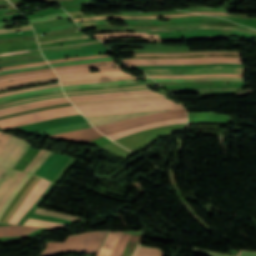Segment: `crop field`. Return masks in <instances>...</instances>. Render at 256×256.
I'll list each match as a JSON object with an SVG mask.
<instances>
[{"mask_svg":"<svg viewBox=\"0 0 256 256\" xmlns=\"http://www.w3.org/2000/svg\"><path fill=\"white\" fill-rule=\"evenodd\" d=\"M210 38H223L229 39L228 37H193V38H186L185 40H197V39H210ZM182 41V39H130V40H119V39H102L103 42H113V41Z\"/></svg>","mask_w":256,"mask_h":256,"instance_id":"crop-field-22","label":"crop field"},{"mask_svg":"<svg viewBox=\"0 0 256 256\" xmlns=\"http://www.w3.org/2000/svg\"><path fill=\"white\" fill-rule=\"evenodd\" d=\"M45 153V150H41L38 155L35 157V159L32 161V163L24 170L25 172H28L33 166L34 164L43 156V154Z\"/></svg>","mask_w":256,"mask_h":256,"instance_id":"crop-field-47","label":"crop field"},{"mask_svg":"<svg viewBox=\"0 0 256 256\" xmlns=\"http://www.w3.org/2000/svg\"><path fill=\"white\" fill-rule=\"evenodd\" d=\"M138 92H153V91H151V90H132V91L113 92V93L74 95V96H67V97L74 98V97H86V96H98V95L128 94V93H138Z\"/></svg>","mask_w":256,"mask_h":256,"instance_id":"crop-field-31","label":"crop field"},{"mask_svg":"<svg viewBox=\"0 0 256 256\" xmlns=\"http://www.w3.org/2000/svg\"><path fill=\"white\" fill-rule=\"evenodd\" d=\"M103 23H109L108 21H102V22H85L78 24L79 26H85V25H95V24H103Z\"/></svg>","mask_w":256,"mask_h":256,"instance_id":"crop-field-51","label":"crop field"},{"mask_svg":"<svg viewBox=\"0 0 256 256\" xmlns=\"http://www.w3.org/2000/svg\"><path fill=\"white\" fill-rule=\"evenodd\" d=\"M39 227L0 226V236H26Z\"/></svg>","mask_w":256,"mask_h":256,"instance_id":"crop-field-16","label":"crop field"},{"mask_svg":"<svg viewBox=\"0 0 256 256\" xmlns=\"http://www.w3.org/2000/svg\"><path fill=\"white\" fill-rule=\"evenodd\" d=\"M69 27H72V26L71 25H66V26L52 27V28H48V29L55 30V29L69 28Z\"/></svg>","mask_w":256,"mask_h":256,"instance_id":"crop-field-58","label":"crop field"},{"mask_svg":"<svg viewBox=\"0 0 256 256\" xmlns=\"http://www.w3.org/2000/svg\"><path fill=\"white\" fill-rule=\"evenodd\" d=\"M140 78H149V77L148 76H142V77H122V78H111V79H99V80L67 82V83H61V84H62V86H64V85H73V84H83V83H93V82H110V81H118V80H125V79H140Z\"/></svg>","mask_w":256,"mask_h":256,"instance_id":"crop-field-25","label":"crop field"},{"mask_svg":"<svg viewBox=\"0 0 256 256\" xmlns=\"http://www.w3.org/2000/svg\"><path fill=\"white\" fill-rule=\"evenodd\" d=\"M128 65H181L202 63H237L242 64L240 58L230 57H207L186 59H129L123 60Z\"/></svg>","mask_w":256,"mask_h":256,"instance_id":"crop-field-4","label":"crop field"},{"mask_svg":"<svg viewBox=\"0 0 256 256\" xmlns=\"http://www.w3.org/2000/svg\"><path fill=\"white\" fill-rule=\"evenodd\" d=\"M101 114H122L156 109H185L169 99L134 100L98 104ZM97 104L76 106L84 116L101 115Z\"/></svg>","mask_w":256,"mask_h":256,"instance_id":"crop-field-1","label":"crop field"},{"mask_svg":"<svg viewBox=\"0 0 256 256\" xmlns=\"http://www.w3.org/2000/svg\"><path fill=\"white\" fill-rule=\"evenodd\" d=\"M138 85H144V83H132V84H121V85H111V86H98V87H89V88H80V89H69V90H64V92L82 91V90H95V89H107V88H118V87L138 86Z\"/></svg>","mask_w":256,"mask_h":256,"instance_id":"crop-field-29","label":"crop field"},{"mask_svg":"<svg viewBox=\"0 0 256 256\" xmlns=\"http://www.w3.org/2000/svg\"><path fill=\"white\" fill-rule=\"evenodd\" d=\"M69 16L66 13H61V14H54V15H50V16H45V17H41V18H36V19H30V23H34V22H41V21H46L49 19H54V18H61V17H67Z\"/></svg>","mask_w":256,"mask_h":256,"instance_id":"crop-field-37","label":"crop field"},{"mask_svg":"<svg viewBox=\"0 0 256 256\" xmlns=\"http://www.w3.org/2000/svg\"><path fill=\"white\" fill-rule=\"evenodd\" d=\"M101 136L103 135H101L97 130H95L94 127H91V128L74 131V132L63 133V134H58V135H53L48 137L87 143Z\"/></svg>","mask_w":256,"mask_h":256,"instance_id":"crop-field-7","label":"crop field"},{"mask_svg":"<svg viewBox=\"0 0 256 256\" xmlns=\"http://www.w3.org/2000/svg\"><path fill=\"white\" fill-rule=\"evenodd\" d=\"M152 78H199V77H211V76H235L242 77L240 74H211V75H149Z\"/></svg>","mask_w":256,"mask_h":256,"instance_id":"crop-field-21","label":"crop field"},{"mask_svg":"<svg viewBox=\"0 0 256 256\" xmlns=\"http://www.w3.org/2000/svg\"><path fill=\"white\" fill-rule=\"evenodd\" d=\"M20 171H13L5 169L0 175V200L3 197L8 187L16 180L20 175Z\"/></svg>","mask_w":256,"mask_h":256,"instance_id":"crop-field-17","label":"crop field"},{"mask_svg":"<svg viewBox=\"0 0 256 256\" xmlns=\"http://www.w3.org/2000/svg\"><path fill=\"white\" fill-rule=\"evenodd\" d=\"M169 12H180V11H169ZM169 12H152V13H169ZM120 13H130V12H120Z\"/></svg>","mask_w":256,"mask_h":256,"instance_id":"crop-field-66","label":"crop field"},{"mask_svg":"<svg viewBox=\"0 0 256 256\" xmlns=\"http://www.w3.org/2000/svg\"><path fill=\"white\" fill-rule=\"evenodd\" d=\"M46 64H48V63H45V64H39V65H46ZM39 65H34V66H39ZM28 67H30V66H28ZM19 68H21V67H19ZM9 69H15V68L2 69V70H0V71L9 70Z\"/></svg>","mask_w":256,"mask_h":256,"instance_id":"crop-field-67","label":"crop field"},{"mask_svg":"<svg viewBox=\"0 0 256 256\" xmlns=\"http://www.w3.org/2000/svg\"><path fill=\"white\" fill-rule=\"evenodd\" d=\"M4 9H7V8H4Z\"/></svg>","mask_w":256,"mask_h":256,"instance_id":"crop-field-72","label":"crop field"},{"mask_svg":"<svg viewBox=\"0 0 256 256\" xmlns=\"http://www.w3.org/2000/svg\"><path fill=\"white\" fill-rule=\"evenodd\" d=\"M147 95H162V94H147ZM133 96H146V95H133ZM119 97H127V96H119ZM110 98H118V97H110ZM102 99H109V98H102ZM92 100H97V99H92ZM77 101H83V100H77ZM75 102V101H71Z\"/></svg>","mask_w":256,"mask_h":256,"instance_id":"crop-field-55","label":"crop field"},{"mask_svg":"<svg viewBox=\"0 0 256 256\" xmlns=\"http://www.w3.org/2000/svg\"><path fill=\"white\" fill-rule=\"evenodd\" d=\"M156 81L166 82V81H200V80H235L242 81V78L235 77H212V78H200V79H155Z\"/></svg>","mask_w":256,"mask_h":256,"instance_id":"crop-field-27","label":"crop field"},{"mask_svg":"<svg viewBox=\"0 0 256 256\" xmlns=\"http://www.w3.org/2000/svg\"><path fill=\"white\" fill-rule=\"evenodd\" d=\"M105 57H110V56H105ZM97 58H100V57H97ZM87 59H92V58H87ZM75 60H83V59H75ZM75 60H67V61H75ZM67 61H60V62H67ZM60 62H52V63H49V64L60 63Z\"/></svg>","mask_w":256,"mask_h":256,"instance_id":"crop-field-61","label":"crop field"},{"mask_svg":"<svg viewBox=\"0 0 256 256\" xmlns=\"http://www.w3.org/2000/svg\"><path fill=\"white\" fill-rule=\"evenodd\" d=\"M62 96V95H61ZM56 97V96H55ZM47 98H50V97H47ZM41 99H46V98H41ZM41 99H36V100H41ZM30 101H34V100H30ZM24 102H28V101H24ZM24 102H19V103H24ZM16 104H18V103H16ZM13 105H15V104H13ZM9 106H11V105H9ZM4 107H7V106H4ZM0 108H2V107H0Z\"/></svg>","mask_w":256,"mask_h":256,"instance_id":"crop-field-65","label":"crop field"},{"mask_svg":"<svg viewBox=\"0 0 256 256\" xmlns=\"http://www.w3.org/2000/svg\"><path fill=\"white\" fill-rule=\"evenodd\" d=\"M26 175V173L22 172L21 175L17 178V180L10 186V188L5 193L4 197L0 201V209L3 206L5 200L9 196V194L12 192V190L15 188V186L20 182V180Z\"/></svg>","mask_w":256,"mask_h":256,"instance_id":"crop-field-34","label":"crop field"},{"mask_svg":"<svg viewBox=\"0 0 256 256\" xmlns=\"http://www.w3.org/2000/svg\"><path fill=\"white\" fill-rule=\"evenodd\" d=\"M193 20H224L221 18H206V17H192V18H181V19H173L170 22H179V21H193ZM124 23H132V24H143V23H170V22H161V21H123Z\"/></svg>","mask_w":256,"mask_h":256,"instance_id":"crop-field-20","label":"crop field"},{"mask_svg":"<svg viewBox=\"0 0 256 256\" xmlns=\"http://www.w3.org/2000/svg\"><path fill=\"white\" fill-rule=\"evenodd\" d=\"M35 213L65 218L67 220H71V221H75V222L82 220L81 218H77V217H73V216H69V215H65V214H61V213H56V212L48 211V210L41 209V208H38Z\"/></svg>","mask_w":256,"mask_h":256,"instance_id":"crop-field-28","label":"crop field"},{"mask_svg":"<svg viewBox=\"0 0 256 256\" xmlns=\"http://www.w3.org/2000/svg\"><path fill=\"white\" fill-rule=\"evenodd\" d=\"M42 178L40 179V181ZM38 182L34 188L31 190V192L28 194L24 202L21 204V206L18 208L15 215L11 218L9 223L17 225V223L20 221L21 217L34 205V203L42 196L43 192L46 190L48 185Z\"/></svg>","mask_w":256,"mask_h":256,"instance_id":"crop-field-6","label":"crop field"},{"mask_svg":"<svg viewBox=\"0 0 256 256\" xmlns=\"http://www.w3.org/2000/svg\"><path fill=\"white\" fill-rule=\"evenodd\" d=\"M66 100H68V99H66ZM66 100H60V101H66ZM52 102H58V101H52ZM52 102H47V103H52ZM42 104H46V103H42ZM38 105H41V104H38ZM32 106H36V105H32ZM26 107H30V106H26ZM23 108H25V107H23ZM19 109H21V108H19ZM15 110H18V109H15ZM11 111H14V110H11ZM7 112H9V111H7ZM3 113H5V112H3Z\"/></svg>","mask_w":256,"mask_h":256,"instance_id":"crop-field-60","label":"crop field"},{"mask_svg":"<svg viewBox=\"0 0 256 256\" xmlns=\"http://www.w3.org/2000/svg\"><path fill=\"white\" fill-rule=\"evenodd\" d=\"M194 28H222V29H234V30H247L255 31L251 28H239V27H226V26H187V27H173V28H163V29H102V31H171V30H188Z\"/></svg>","mask_w":256,"mask_h":256,"instance_id":"crop-field-14","label":"crop field"},{"mask_svg":"<svg viewBox=\"0 0 256 256\" xmlns=\"http://www.w3.org/2000/svg\"><path fill=\"white\" fill-rule=\"evenodd\" d=\"M55 86H60V85L59 84L45 85V86H39V87H34V88L10 91V92H6V93L0 94V97L11 95V94H15V93H20V92H24V91L39 90V89L48 88V87H55Z\"/></svg>","mask_w":256,"mask_h":256,"instance_id":"crop-field-33","label":"crop field"},{"mask_svg":"<svg viewBox=\"0 0 256 256\" xmlns=\"http://www.w3.org/2000/svg\"><path fill=\"white\" fill-rule=\"evenodd\" d=\"M52 73H54V71H47V72H41V73H36V74H27V75L14 76V77H10V78L1 79L0 82L9 81V80L18 79V78L30 77V76L52 74Z\"/></svg>","mask_w":256,"mask_h":256,"instance_id":"crop-field-42","label":"crop field"},{"mask_svg":"<svg viewBox=\"0 0 256 256\" xmlns=\"http://www.w3.org/2000/svg\"><path fill=\"white\" fill-rule=\"evenodd\" d=\"M111 66H118L116 64H108V65H101V66H95L96 68H103V67H111ZM92 67H83V68H74V69H62V70H56V73L61 72H69V71H77V70H85V69H91Z\"/></svg>","mask_w":256,"mask_h":256,"instance_id":"crop-field-43","label":"crop field"},{"mask_svg":"<svg viewBox=\"0 0 256 256\" xmlns=\"http://www.w3.org/2000/svg\"><path fill=\"white\" fill-rule=\"evenodd\" d=\"M131 82H136V81L135 80H125V81H118V82H111V83H93V84L65 86V87H62V88L63 89H69V88H80V87H89V86H98V85H110V84H121V83H131Z\"/></svg>","mask_w":256,"mask_h":256,"instance_id":"crop-field-32","label":"crop field"},{"mask_svg":"<svg viewBox=\"0 0 256 256\" xmlns=\"http://www.w3.org/2000/svg\"><path fill=\"white\" fill-rule=\"evenodd\" d=\"M128 235L127 234H123L120 242L118 243L116 249L114 250L112 256H118L122 246L124 245L126 239H127ZM143 236H139V235H130L127 243L125 244L123 250L121 251L119 256H133V254L135 253L141 239Z\"/></svg>","mask_w":256,"mask_h":256,"instance_id":"crop-field-10","label":"crop field"},{"mask_svg":"<svg viewBox=\"0 0 256 256\" xmlns=\"http://www.w3.org/2000/svg\"><path fill=\"white\" fill-rule=\"evenodd\" d=\"M138 94H146V93H138ZM129 95H133V94H129ZM114 96H119V95H114ZM102 97H110V96L87 97V98H75V99H69V100H77V99H91V98H102Z\"/></svg>","mask_w":256,"mask_h":256,"instance_id":"crop-field-54","label":"crop field"},{"mask_svg":"<svg viewBox=\"0 0 256 256\" xmlns=\"http://www.w3.org/2000/svg\"><path fill=\"white\" fill-rule=\"evenodd\" d=\"M192 15H199V14L187 13V14H181V15H164V17H182V16H192ZM158 17L160 16H102V17L79 18V19H75V21L105 19V18H158Z\"/></svg>","mask_w":256,"mask_h":256,"instance_id":"crop-field-19","label":"crop field"},{"mask_svg":"<svg viewBox=\"0 0 256 256\" xmlns=\"http://www.w3.org/2000/svg\"><path fill=\"white\" fill-rule=\"evenodd\" d=\"M101 56H105V55H101ZM90 57H97V56H90ZM75 58H87V57H74V58H67V59H75ZM60 60H66V59H60ZM60 60H52V61H60ZM52 61H48V62H52Z\"/></svg>","mask_w":256,"mask_h":256,"instance_id":"crop-field-59","label":"crop field"},{"mask_svg":"<svg viewBox=\"0 0 256 256\" xmlns=\"http://www.w3.org/2000/svg\"><path fill=\"white\" fill-rule=\"evenodd\" d=\"M195 253L209 255V256H227V255L214 254L215 252L210 253V252H206V251H202V250H198V249H196ZM240 256H256V252L242 251Z\"/></svg>","mask_w":256,"mask_h":256,"instance_id":"crop-field-36","label":"crop field"},{"mask_svg":"<svg viewBox=\"0 0 256 256\" xmlns=\"http://www.w3.org/2000/svg\"><path fill=\"white\" fill-rule=\"evenodd\" d=\"M178 117H187L186 110H169L161 113H156L148 116L138 117L134 119L119 121L115 123H110L106 125L97 126L96 128L103 134L107 135L110 133L126 130L136 126H140L146 123L178 118Z\"/></svg>","mask_w":256,"mask_h":256,"instance_id":"crop-field-2","label":"crop field"},{"mask_svg":"<svg viewBox=\"0 0 256 256\" xmlns=\"http://www.w3.org/2000/svg\"><path fill=\"white\" fill-rule=\"evenodd\" d=\"M44 62H46V61L38 62V63H44ZM32 64H37V63H32ZM27 65H29V64H27ZM19 66H22V65H19ZM9 67H16V66H9ZM5 68H8V67H5ZM0 69H1V68H0Z\"/></svg>","mask_w":256,"mask_h":256,"instance_id":"crop-field-68","label":"crop field"},{"mask_svg":"<svg viewBox=\"0 0 256 256\" xmlns=\"http://www.w3.org/2000/svg\"><path fill=\"white\" fill-rule=\"evenodd\" d=\"M27 221L28 222L39 223V224H45V225L64 226V224L45 222V221L35 220V219H31V218H29Z\"/></svg>","mask_w":256,"mask_h":256,"instance_id":"crop-field-48","label":"crop field"},{"mask_svg":"<svg viewBox=\"0 0 256 256\" xmlns=\"http://www.w3.org/2000/svg\"><path fill=\"white\" fill-rule=\"evenodd\" d=\"M147 74H211V73H241L244 68L231 67H202V68H176V69H139Z\"/></svg>","mask_w":256,"mask_h":256,"instance_id":"crop-field-5","label":"crop field"},{"mask_svg":"<svg viewBox=\"0 0 256 256\" xmlns=\"http://www.w3.org/2000/svg\"><path fill=\"white\" fill-rule=\"evenodd\" d=\"M200 9H211V8H200ZM190 10H196V9H186L184 11H190Z\"/></svg>","mask_w":256,"mask_h":256,"instance_id":"crop-field-69","label":"crop field"},{"mask_svg":"<svg viewBox=\"0 0 256 256\" xmlns=\"http://www.w3.org/2000/svg\"><path fill=\"white\" fill-rule=\"evenodd\" d=\"M25 141L12 135L8 144L0 154V166L6 167L10 164L23 147Z\"/></svg>","mask_w":256,"mask_h":256,"instance_id":"crop-field-9","label":"crop field"},{"mask_svg":"<svg viewBox=\"0 0 256 256\" xmlns=\"http://www.w3.org/2000/svg\"><path fill=\"white\" fill-rule=\"evenodd\" d=\"M28 27H31V26L18 27V28H11V29H0V32H4V31H12V30L22 29V28H28Z\"/></svg>","mask_w":256,"mask_h":256,"instance_id":"crop-field-57","label":"crop field"},{"mask_svg":"<svg viewBox=\"0 0 256 256\" xmlns=\"http://www.w3.org/2000/svg\"><path fill=\"white\" fill-rule=\"evenodd\" d=\"M86 127H91L89 122L82 123V124L62 126V127L48 129V130H42L38 134H40L42 136H47V135H53V134H57V133H61V132H66V131H70V130L86 128ZM42 132H48V133L47 134H42Z\"/></svg>","mask_w":256,"mask_h":256,"instance_id":"crop-field-18","label":"crop field"},{"mask_svg":"<svg viewBox=\"0 0 256 256\" xmlns=\"http://www.w3.org/2000/svg\"><path fill=\"white\" fill-rule=\"evenodd\" d=\"M139 87H147V86H139ZM129 88H138V87H129ZM120 89H127V88H120ZM110 90H114V89H110ZM83 92H90V91H83ZM70 93H77V92H70ZM65 94H67V93H65Z\"/></svg>","mask_w":256,"mask_h":256,"instance_id":"crop-field-64","label":"crop field"},{"mask_svg":"<svg viewBox=\"0 0 256 256\" xmlns=\"http://www.w3.org/2000/svg\"><path fill=\"white\" fill-rule=\"evenodd\" d=\"M139 89H149V88H139ZM128 90H132V89H128ZM116 91H122V90H116ZM103 92H112V91H103ZM91 93H100V92H91ZM81 94H86V93H81Z\"/></svg>","mask_w":256,"mask_h":256,"instance_id":"crop-field-62","label":"crop field"},{"mask_svg":"<svg viewBox=\"0 0 256 256\" xmlns=\"http://www.w3.org/2000/svg\"><path fill=\"white\" fill-rule=\"evenodd\" d=\"M180 123H186V118L173 119V120L156 122V123H150V124H146V125H143V126H140V127H136V128H133V129L122 131V132H119V133H116V134L108 135V137L115 140V139L121 138L123 136L129 135L131 133L138 132V131H141V130H144V129H148V128H152V127H156V126H164V125L180 124Z\"/></svg>","mask_w":256,"mask_h":256,"instance_id":"crop-field-13","label":"crop field"},{"mask_svg":"<svg viewBox=\"0 0 256 256\" xmlns=\"http://www.w3.org/2000/svg\"><path fill=\"white\" fill-rule=\"evenodd\" d=\"M153 98H167V97H165V96L127 97V98H119V99H111V100L77 102V103H73V104L80 105V104H92V103H100V102H113V101H124V100H134V99H153Z\"/></svg>","mask_w":256,"mask_h":256,"instance_id":"crop-field-24","label":"crop field"},{"mask_svg":"<svg viewBox=\"0 0 256 256\" xmlns=\"http://www.w3.org/2000/svg\"><path fill=\"white\" fill-rule=\"evenodd\" d=\"M41 67H44V66H40V67H31V68L15 69V70H10V71L1 72L0 74H2V73H8V72H14V71H21V70L34 69V68H41Z\"/></svg>","mask_w":256,"mask_h":256,"instance_id":"crop-field-53","label":"crop field"},{"mask_svg":"<svg viewBox=\"0 0 256 256\" xmlns=\"http://www.w3.org/2000/svg\"><path fill=\"white\" fill-rule=\"evenodd\" d=\"M10 136H11L10 134L1 133V135H0V152L3 149V147L6 145V143L8 142Z\"/></svg>","mask_w":256,"mask_h":256,"instance_id":"crop-field-46","label":"crop field"},{"mask_svg":"<svg viewBox=\"0 0 256 256\" xmlns=\"http://www.w3.org/2000/svg\"><path fill=\"white\" fill-rule=\"evenodd\" d=\"M30 174H27L22 181L19 183V185L13 190V192L11 193V195L8 197V199L6 200L4 206L2 207L1 211H0V217L2 215V213L5 211V209L8 207V205L11 203L12 199L16 196V194L20 191V189L23 187V185L25 184V182L28 180V178L30 177Z\"/></svg>","mask_w":256,"mask_h":256,"instance_id":"crop-field-26","label":"crop field"},{"mask_svg":"<svg viewBox=\"0 0 256 256\" xmlns=\"http://www.w3.org/2000/svg\"><path fill=\"white\" fill-rule=\"evenodd\" d=\"M59 99H66V97L55 98V99H48V100H41V101H36V102L24 103V104H20V105H16V106H12V107H7V108L0 109V112L6 111V110H10V109L19 108V107H23V106H26V105L38 104V103H42V102H47V101H52V100H59Z\"/></svg>","mask_w":256,"mask_h":256,"instance_id":"crop-field-38","label":"crop field"},{"mask_svg":"<svg viewBox=\"0 0 256 256\" xmlns=\"http://www.w3.org/2000/svg\"><path fill=\"white\" fill-rule=\"evenodd\" d=\"M56 79H58V78L55 77V78H49V79H43V80L22 82V83H17V84H13V85L0 86V89H5V88L15 87V86H21V85H27V84H33V83H39V82H45V81L56 80Z\"/></svg>","mask_w":256,"mask_h":256,"instance_id":"crop-field-39","label":"crop field"},{"mask_svg":"<svg viewBox=\"0 0 256 256\" xmlns=\"http://www.w3.org/2000/svg\"><path fill=\"white\" fill-rule=\"evenodd\" d=\"M67 102H70V101H66V102H59V103H67ZM59 103H52V104H59ZM52 104H46V105H52ZM46 105H41V106H46ZM41 106L25 108V109H22V110H18V111H14V112H9V113H5V114H1L0 116H2V115H6V114H11V113H16V112H20V111H25V110H29V109H33V108H37V107H41Z\"/></svg>","mask_w":256,"mask_h":256,"instance_id":"crop-field-50","label":"crop field"},{"mask_svg":"<svg viewBox=\"0 0 256 256\" xmlns=\"http://www.w3.org/2000/svg\"><path fill=\"white\" fill-rule=\"evenodd\" d=\"M57 89H61V88L60 87H56V88H48V89H44V90H39V91L24 92V93H20V94H15V95L3 97V98H0V100L14 98V97H19V96H24V95H29V94L38 93V92L57 90Z\"/></svg>","mask_w":256,"mask_h":256,"instance_id":"crop-field-41","label":"crop field"},{"mask_svg":"<svg viewBox=\"0 0 256 256\" xmlns=\"http://www.w3.org/2000/svg\"><path fill=\"white\" fill-rule=\"evenodd\" d=\"M206 56H230L240 57L236 54H202V55H183V56H135V58H186V57H206ZM128 59V58H124Z\"/></svg>","mask_w":256,"mask_h":256,"instance_id":"crop-field-23","label":"crop field"},{"mask_svg":"<svg viewBox=\"0 0 256 256\" xmlns=\"http://www.w3.org/2000/svg\"><path fill=\"white\" fill-rule=\"evenodd\" d=\"M51 152L47 151L45 155L35 164V166L29 171V173L34 174L36 170L42 165V163L49 157Z\"/></svg>","mask_w":256,"mask_h":256,"instance_id":"crop-field-45","label":"crop field"},{"mask_svg":"<svg viewBox=\"0 0 256 256\" xmlns=\"http://www.w3.org/2000/svg\"><path fill=\"white\" fill-rule=\"evenodd\" d=\"M196 13H202V14H206V15H229L227 13H223V12H196Z\"/></svg>","mask_w":256,"mask_h":256,"instance_id":"crop-field-52","label":"crop field"},{"mask_svg":"<svg viewBox=\"0 0 256 256\" xmlns=\"http://www.w3.org/2000/svg\"><path fill=\"white\" fill-rule=\"evenodd\" d=\"M39 179H40L39 177H36L34 175L29 179V181L24 185V187L21 189L19 194L16 196V198L13 200V202L7 208V210L1 217L0 221L8 222V220L11 218L13 213L16 211V209L19 207V205L22 203L24 198L27 196L29 191L38 182Z\"/></svg>","mask_w":256,"mask_h":256,"instance_id":"crop-field-8","label":"crop field"},{"mask_svg":"<svg viewBox=\"0 0 256 256\" xmlns=\"http://www.w3.org/2000/svg\"><path fill=\"white\" fill-rule=\"evenodd\" d=\"M114 60L113 58H101V59H93V60H84V61H75V62H68V63H61V64H53L51 67L61 66V65H70V64H80V63H90V62H99V61H109Z\"/></svg>","mask_w":256,"mask_h":256,"instance_id":"crop-field-35","label":"crop field"},{"mask_svg":"<svg viewBox=\"0 0 256 256\" xmlns=\"http://www.w3.org/2000/svg\"><path fill=\"white\" fill-rule=\"evenodd\" d=\"M61 94H63V93H60V94H52V95H46V96H42V97H47V96H55V95H61ZM38 98H41V97H38ZM32 99H35V98H32ZM27 100H29V99H27ZM20 101H23V100H20ZM16 102H18V101H16ZM14 103V102H13ZM10 104V103H9ZM6 105V104H5ZM0 106H3V105H0Z\"/></svg>","mask_w":256,"mask_h":256,"instance_id":"crop-field-63","label":"crop field"},{"mask_svg":"<svg viewBox=\"0 0 256 256\" xmlns=\"http://www.w3.org/2000/svg\"><path fill=\"white\" fill-rule=\"evenodd\" d=\"M160 249L140 247L135 256H162Z\"/></svg>","mask_w":256,"mask_h":256,"instance_id":"crop-field-30","label":"crop field"},{"mask_svg":"<svg viewBox=\"0 0 256 256\" xmlns=\"http://www.w3.org/2000/svg\"><path fill=\"white\" fill-rule=\"evenodd\" d=\"M164 110H156V111H145V112H137V113H130V114H122V115H109V116H93V117H86L94 126L106 124L110 122H115L119 120H124L128 118L138 117L142 115L152 114L156 112H160Z\"/></svg>","mask_w":256,"mask_h":256,"instance_id":"crop-field-11","label":"crop field"},{"mask_svg":"<svg viewBox=\"0 0 256 256\" xmlns=\"http://www.w3.org/2000/svg\"><path fill=\"white\" fill-rule=\"evenodd\" d=\"M72 114H79L73 106L33 112L21 116L0 120V128L4 129L8 127L19 126L27 123L43 121L48 119H54Z\"/></svg>","mask_w":256,"mask_h":256,"instance_id":"crop-field-3","label":"crop field"},{"mask_svg":"<svg viewBox=\"0 0 256 256\" xmlns=\"http://www.w3.org/2000/svg\"><path fill=\"white\" fill-rule=\"evenodd\" d=\"M3 170H4L3 168H0V174H1V172H2Z\"/></svg>","mask_w":256,"mask_h":256,"instance_id":"crop-field-71","label":"crop field"},{"mask_svg":"<svg viewBox=\"0 0 256 256\" xmlns=\"http://www.w3.org/2000/svg\"><path fill=\"white\" fill-rule=\"evenodd\" d=\"M28 147H29V143L26 142V144L23 147V149L19 152V154L14 159V161L10 165L7 166V168H13L15 166V164L20 160V158L24 155V153L26 152Z\"/></svg>","mask_w":256,"mask_h":256,"instance_id":"crop-field-44","label":"crop field"},{"mask_svg":"<svg viewBox=\"0 0 256 256\" xmlns=\"http://www.w3.org/2000/svg\"><path fill=\"white\" fill-rule=\"evenodd\" d=\"M122 232H108L96 256H110Z\"/></svg>","mask_w":256,"mask_h":256,"instance_id":"crop-field-15","label":"crop field"},{"mask_svg":"<svg viewBox=\"0 0 256 256\" xmlns=\"http://www.w3.org/2000/svg\"><path fill=\"white\" fill-rule=\"evenodd\" d=\"M59 92H63V91L59 90V91H53V92L38 93V94L30 95V96H25V97L15 98V99H11V100L1 101L0 104H5V103L13 102V101H16V100H20V99L32 98V97L42 96V95L51 94V93H59Z\"/></svg>","mask_w":256,"mask_h":256,"instance_id":"crop-field-40","label":"crop field"},{"mask_svg":"<svg viewBox=\"0 0 256 256\" xmlns=\"http://www.w3.org/2000/svg\"><path fill=\"white\" fill-rule=\"evenodd\" d=\"M1 26H4V23H3V22H0V27H1Z\"/></svg>","mask_w":256,"mask_h":256,"instance_id":"crop-field-70","label":"crop field"},{"mask_svg":"<svg viewBox=\"0 0 256 256\" xmlns=\"http://www.w3.org/2000/svg\"><path fill=\"white\" fill-rule=\"evenodd\" d=\"M24 225L57 228V227H54V226H45V225H39V224H34V223H28V222H26Z\"/></svg>","mask_w":256,"mask_h":256,"instance_id":"crop-field-56","label":"crop field"},{"mask_svg":"<svg viewBox=\"0 0 256 256\" xmlns=\"http://www.w3.org/2000/svg\"><path fill=\"white\" fill-rule=\"evenodd\" d=\"M129 74L124 73L121 70L101 72V73H90V74H78L59 77L61 82L66 81H76V80H86V79H97V78H107V77H117V76H128Z\"/></svg>","mask_w":256,"mask_h":256,"instance_id":"crop-field-12","label":"crop field"},{"mask_svg":"<svg viewBox=\"0 0 256 256\" xmlns=\"http://www.w3.org/2000/svg\"><path fill=\"white\" fill-rule=\"evenodd\" d=\"M203 53H236V52H203ZM189 54H202V53H189ZM134 55H183V54H134Z\"/></svg>","mask_w":256,"mask_h":256,"instance_id":"crop-field-49","label":"crop field"}]
</instances>
